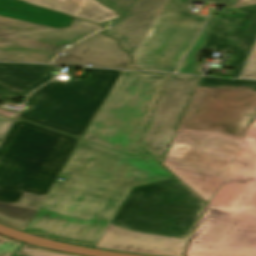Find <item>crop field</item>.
<instances>
[{"instance_id": "obj_1", "label": "crop field", "mask_w": 256, "mask_h": 256, "mask_svg": "<svg viewBox=\"0 0 256 256\" xmlns=\"http://www.w3.org/2000/svg\"><path fill=\"white\" fill-rule=\"evenodd\" d=\"M159 165L82 141L26 233L95 248L132 187L171 177Z\"/></svg>"}, {"instance_id": "obj_2", "label": "crop field", "mask_w": 256, "mask_h": 256, "mask_svg": "<svg viewBox=\"0 0 256 256\" xmlns=\"http://www.w3.org/2000/svg\"><path fill=\"white\" fill-rule=\"evenodd\" d=\"M256 111V81L202 77L164 166L207 203Z\"/></svg>"}, {"instance_id": "obj_3", "label": "crop field", "mask_w": 256, "mask_h": 256, "mask_svg": "<svg viewBox=\"0 0 256 256\" xmlns=\"http://www.w3.org/2000/svg\"><path fill=\"white\" fill-rule=\"evenodd\" d=\"M206 207L175 177L131 189L96 248L183 256Z\"/></svg>"}, {"instance_id": "obj_4", "label": "crop field", "mask_w": 256, "mask_h": 256, "mask_svg": "<svg viewBox=\"0 0 256 256\" xmlns=\"http://www.w3.org/2000/svg\"><path fill=\"white\" fill-rule=\"evenodd\" d=\"M78 141L16 119L0 145V223L25 232Z\"/></svg>"}, {"instance_id": "obj_5", "label": "crop field", "mask_w": 256, "mask_h": 256, "mask_svg": "<svg viewBox=\"0 0 256 256\" xmlns=\"http://www.w3.org/2000/svg\"><path fill=\"white\" fill-rule=\"evenodd\" d=\"M188 256H256V119L227 168Z\"/></svg>"}, {"instance_id": "obj_6", "label": "crop field", "mask_w": 256, "mask_h": 256, "mask_svg": "<svg viewBox=\"0 0 256 256\" xmlns=\"http://www.w3.org/2000/svg\"><path fill=\"white\" fill-rule=\"evenodd\" d=\"M91 71L87 80L68 83L52 80L28 96V109L18 118L81 138L86 126L122 71Z\"/></svg>"}, {"instance_id": "obj_7", "label": "crop field", "mask_w": 256, "mask_h": 256, "mask_svg": "<svg viewBox=\"0 0 256 256\" xmlns=\"http://www.w3.org/2000/svg\"><path fill=\"white\" fill-rule=\"evenodd\" d=\"M166 77L126 71L84 140L129 155L144 153L137 142Z\"/></svg>"}, {"instance_id": "obj_8", "label": "crop field", "mask_w": 256, "mask_h": 256, "mask_svg": "<svg viewBox=\"0 0 256 256\" xmlns=\"http://www.w3.org/2000/svg\"><path fill=\"white\" fill-rule=\"evenodd\" d=\"M236 7L238 0H200ZM191 0H167L133 54L142 70L174 72L206 17L192 15Z\"/></svg>"}, {"instance_id": "obj_9", "label": "crop field", "mask_w": 256, "mask_h": 256, "mask_svg": "<svg viewBox=\"0 0 256 256\" xmlns=\"http://www.w3.org/2000/svg\"><path fill=\"white\" fill-rule=\"evenodd\" d=\"M101 26L75 19L70 27L53 29L0 16V60L52 63L65 50Z\"/></svg>"}, {"instance_id": "obj_10", "label": "crop field", "mask_w": 256, "mask_h": 256, "mask_svg": "<svg viewBox=\"0 0 256 256\" xmlns=\"http://www.w3.org/2000/svg\"><path fill=\"white\" fill-rule=\"evenodd\" d=\"M199 77L172 75L140 141L160 162Z\"/></svg>"}, {"instance_id": "obj_11", "label": "crop field", "mask_w": 256, "mask_h": 256, "mask_svg": "<svg viewBox=\"0 0 256 256\" xmlns=\"http://www.w3.org/2000/svg\"><path fill=\"white\" fill-rule=\"evenodd\" d=\"M256 39V6L237 9L235 14H217L204 48L236 53L227 67L238 77Z\"/></svg>"}, {"instance_id": "obj_12", "label": "crop field", "mask_w": 256, "mask_h": 256, "mask_svg": "<svg viewBox=\"0 0 256 256\" xmlns=\"http://www.w3.org/2000/svg\"><path fill=\"white\" fill-rule=\"evenodd\" d=\"M123 18L103 24L108 35L121 42L132 56L166 0H99Z\"/></svg>"}, {"instance_id": "obj_13", "label": "crop field", "mask_w": 256, "mask_h": 256, "mask_svg": "<svg viewBox=\"0 0 256 256\" xmlns=\"http://www.w3.org/2000/svg\"><path fill=\"white\" fill-rule=\"evenodd\" d=\"M66 55L56 57L55 63L123 69L129 61L127 54L117 46V41L99 32L66 50Z\"/></svg>"}, {"instance_id": "obj_14", "label": "crop field", "mask_w": 256, "mask_h": 256, "mask_svg": "<svg viewBox=\"0 0 256 256\" xmlns=\"http://www.w3.org/2000/svg\"><path fill=\"white\" fill-rule=\"evenodd\" d=\"M52 65L0 63V101L22 97L55 75Z\"/></svg>"}, {"instance_id": "obj_15", "label": "crop field", "mask_w": 256, "mask_h": 256, "mask_svg": "<svg viewBox=\"0 0 256 256\" xmlns=\"http://www.w3.org/2000/svg\"><path fill=\"white\" fill-rule=\"evenodd\" d=\"M44 8L69 14L73 17L91 20L97 23L119 18L115 12L97 0H23Z\"/></svg>"}, {"instance_id": "obj_16", "label": "crop field", "mask_w": 256, "mask_h": 256, "mask_svg": "<svg viewBox=\"0 0 256 256\" xmlns=\"http://www.w3.org/2000/svg\"><path fill=\"white\" fill-rule=\"evenodd\" d=\"M0 15L54 28L70 26V17L15 0H0Z\"/></svg>"}, {"instance_id": "obj_17", "label": "crop field", "mask_w": 256, "mask_h": 256, "mask_svg": "<svg viewBox=\"0 0 256 256\" xmlns=\"http://www.w3.org/2000/svg\"><path fill=\"white\" fill-rule=\"evenodd\" d=\"M216 15H211L177 73L193 74Z\"/></svg>"}, {"instance_id": "obj_18", "label": "crop field", "mask_w": 256, "mask_h": 256, "mask_svg": "<svg viewBox=\"0 0 256 256\" xmlns=\"http://www.w3.org/2000/svg\"><path fill=\"white\" fill-rule=\"evenodd\" d=\"M13 256H71L22 244Z\"/></svg>"}, {"instance_id": "obj_19", "label": "crop field", "mask_w": 256, "mask_h": 256, "mask_svg": "<svg viewBox=\"0 0 256 256\" xmlns=\"http://www.w3.org/2000/svg\"><path fill=\"white\" fill-rule=\"evenodd\" d=\"M20 245V242L0 237V256H11Z\"/></svg>"}, {"instance_id": "obj_20", "label": "crop field", "mask_w": 256, "mask_h": 256, "mask_svg": "<svg viewBox=\"0 0 256 256\" xmlns=\"http://www.w3.org/2000/svg\"><path fill=\"white\" fill-rule=\"evenodd\" d=\"M242 78H256V46Z\"/></svg>"}, {"instance_id": "obj_21", "label": "crop field", "mask_w": 256, "mask_h": 256, "mask_svg": "<svg viewBox=\"0 0 256 256\" xmlns=\"http://www.w3.org/2000/svg\"><path fill=\"white\" fill-rule=\"evenodd\" d=\"M11 121H12L11 119L4 118V117L0 116V138H2V136L6 132L8 126L11 123Z\"/></svg>"}, {"instance_id": "obj_22", "label": "crop field", "mask_w": 256, "mask_h": 256, "mask_svg": "<svg viewBox=\"0 0 256 256\" xmlns=\"http://www.w3.org/2000/svg\"><path fill=\"white\" fill-rule=\"evenodd\" d=\"M256 4V0H239L237 6H246V5H252Z\"/></svg>"}, {"instance_id": "obj_23", "label": "crop field", "mask_w": 256, "mask_h": 256, "mask_svg": "<svg viewBox=\"0 0 256 256\" xmlns=\"http://www.w3.org/2000/svg\"><path fill=\"white\" fill-rule=\"evenodd\" d=\"M15 114L16 113H12V112H8V111L0 109V115H3L5 117L13 118L15 116Z\"/></svg>"}, {"instance_id": "obj_24", "label": "crop field", "mask_w": 256, "mask_h": 256, "mask_svg": "<svg viewBox=\"0 0 256 256\" xmlns=\"http://www.w3.org/2000/svg\"><path fill=\"white\" fill-rule=\"evenodd\" d=\"M128 69H136L134 65L131 64V60L129 61L128 65L126 66Z\"/></svg>"}]
</instances>
